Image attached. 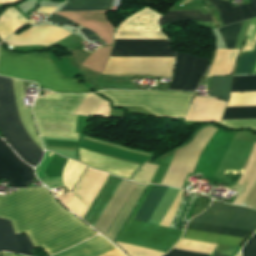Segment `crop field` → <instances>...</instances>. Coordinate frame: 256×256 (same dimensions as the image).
<instances>
[{"instance_id": "8a807250", "label": "crop field", "mask_w": 256, "mask_h": 256, "mask_svg": "<svg viewBox=\"0 0 256 256\" xmlns=\"http://www.w3.org/2000/svg\"><path fill=\"white\" fill-rule=\"evenodd\" d=\"M0 179L11 188L29 187L34 182L31 168L0 139ZM0 217L12 222L16 234L27 233L34 248L48 255L97 234L62 207L46 188L21 189L0 197Z\"/></svg>"}, {"instance_id": "ac0d7876", "label": "crop field", "mask_w": 256, "mask_h": 256, "mask_svg": "<svg viewBox=\"0 0 256 256\" xmlns=\"http://www.w3.org/2000/svg\"><path fill=\"white\" fill-rule=\"evenodd\" d=\"M167 188L168 186L153 185L138 213L136 212L137 214L135 219L148 222ZM183 192L184 191L182 190L179 192L176 200L174 201L171 209L162 223L163 226L169 227ZM135 219H129L116 242L166 253L179 240L182 234V231ZM122 244L119 245L129 254V256H160L155 252Z\"/></svg>"}, {"instance_id": "34b2d1b8", "label": "crop field", "mask_w": 256, "mask_h": 256, "mask_svg": "<svg viewBox=\"0 0 256 256\" xmlns=\"http://www.w3.org/2000/svg\"><path fill=\"white\" fill-rule=\"evenodd\" d=\"M13 90L20 119L30 137L43 150L30 109L24 108L22 98H25V95L21 80L13 79ZM13 90L12 79L0 77V132L17 154L35 167L40 162L43 151L29 137L19 119Z\"/></svg>"}, {"instance_id": "412701ff", "label": "crop field", "mask_w": 256, "mask_h": 256, "mask_svg": "<svg viewBox=\"0 0 256 256\" xmlns=\"http://www.w3.org/2000/svg\"><path fill=\"white\" fill-rule=\"evenodd\" d=\"M192 219L251 231L256 230V212L235 206H226L213 203L204 213ZM193 220L190 221L187 228L242 237H247L252 234L251 231L240 230ZM190 229H186L183 237L221 244H229L233 246L241 245V243L245 239L242 237L209 233Z\"/></svg>"}, {"instance_id": "f4fd0767", "label": "crop field", "mask_w": 256, "mask_h": 256, "mask_svg": "<svg viewBox=\"0 0 256 256\" xmlns=\"http://www.w3.org/2000/svg\"><path fill=\"white\" fill-rule=\"evenodd\" d=\"M0 74L37 82L58 93H89L79 79L64 78L48 54L17 56L0 49Z\"/></svg>"}, {"instance_id": "dd49c442", "label": "crop field", "mask_w": 256, "mask_h": 256, "mask_svg": "<svg viewBox=\"0 0 256 256\" xmlns=\"http://www.w3.org/2000/svg\"><path fill=\"white\" fill-rule=\"evenodd\" d=\"M115 105L142 106L156 116L185 118L194 94L163 91H100Z\"/></svg>"}, {"instance_id": "e52e79f7", "label": "crop field", "mask_w": 256, "mask_h": 256, "mask_svg": "<svg viewBox=\"0 0 256 256\" xmlns=\"http://www.w3.org/2000/svg\"><path fill=\"white\" fill-rule=\"evenodd\" d=\"M253 91H256V76L233 77L231 92ZM236 106H256V92L243 94L230 93V101L227 107ZM254 118H256V107H236L226 108L222 120ZM221 124L230 128L252 127L256 129V119L222 121Z\"/></svg>"}, {"instance_id": "d8731c3e", "label": "crop field", "mask_w": 256, "mask_h": 256, "mask_svg": "<svg viewBox=\"0 0 256 256\" xmlns=\"http://www.w3.org/2000/svg\"><path fill=\"white\" fill-rule=\"evenodd\" d=\"M176 61L170 89L194 91L202 74L205 72L208 59L177 53Z\"/></svg>"}, {"instance_id": "5a996713", "label": "crop field", "mask_w": 256, "mask_h": 256, "mask_svg": "<svg viewBox=\"0 0 256 256\" xmlns=\"http://www.w3.org/2000/svg\"><path fill=\"white\" fill-rule=\"evenodd\" d=\"M110 56H174L170 40H114Z\"/></svg>"}, {"instance_id": "3316defc", "label": "crop field", "mask_w": 256, "mask_h": 256, "mask_svg": "<svg viewBox=\"0 0 256 256\" xmlns=\"http://www.w3.org/2000/svg\"><path fill=\"white\" fill-rule=\"evenodd\" d=\"M42 137L78 139L77 116L34 113Z\"/></svg>"}, {"instance_id": "28ad6ade", "label": "crop field", "mask_w": 256, "mask_h": 256, "mask_svg": "<svg viewBox=\"0 0 256 256\" xmlns=\"http://www.w3.org/2000/svg\"><path fill=\"white\" fill-rule=\"evenodd\" d=\"M79 160L93 166L94 168L108 171L126 178H129L132 172L138 167L136 164L81 149H79Z\"/></svg>"}, {"instance_id": "d1516ede", "label": "crop field", "mask_w": 256, "mask_h": 256, "mask_svg": "<svg viewBox=\"0 0 256 256\" xmlns=\"http://www.w3.org/2000/svg\"><path fill=\"white\" fill-rule=\"evenodd\" d=\"M235 188L241 192L234 203L254 208L256 205V143L249 162Z\"/></svg>"}, {"instance_id": "22f410ed", "label": "crop field", "mask_w": 256, "mask_h": 256, "mask_svg": "<svg viewBox=\"0 0 256 256\" xmlns=\"http://www.w3.org/2000/svg\"><path fill=\"white\" fill-rule=\"evenodd\" d=\"M111 2L112 0H71L62 10L107 12L111 6ZM46 21L63 23L76 27L72 24L71 20L55 14L51 15ZM80 31L89 41L102 40L95 33L86 28L80 29Z\"/></svg>"}, {"instance_id": "cbeb9de0", "label": "crop field", "mask_w": 256, "mask_h": 256, "mask_svg": "<svg viewBox=\"0 0 256 256\" xmlns=\"http://www.w3.org/2000/svg\"><path fill=\"white\" fill-rule=\"evenodd\" d=\"M119 252L111 243L101 236H96L86 242H83L67 251L54 256H107ZM3 256H21L3 252ZM110 256H125L119 252Z\"/></svg>"}, {"instance_id": "5142ce71", "label": "crop field", "mask_w": 256, "mask_h": 256, "mask_svg": "<svg viewBox=\"0 0 256 256\" xmlns=\"http://www.w3.org/2000/svg\"><path fill=\"white\" fill-rule=\"evenodd\" d=\"M86 95H49L37 99L33 112L73 114Z\"/></svg>"}, {"instance_id": "d9b57169", "label": "crop field", "mask_w": 256, "mask_h": 256, "mask_svg": "<svg viewBox=\"0 0 256 256\" xmlns=\"http://www.w3.org/2000/svg\"><path fill=\"white\" fill-rule=\"evenodd\" d=\"M225 105L220 100L195 96L185 120L219 122Z\"/></svg>"}, {"instance_id": "733c2abd", "label": "crop field", "mask_w": 256, "mask_h": 256, "mask_svg": "<svg viewBox=\"0 0 256 256\" xmlns=\"http://www.w3.org/2000/svg\"><path fill=\"white\" fill-rule=\"evenodd\" d=\"M33 249L26 234L15 235L9 220L0 218V250L33 256Z\"/></svg>"}, {"instance_id": "4a817a6b", "label": "crop field", "mask_w": 256, "mask_h": 256, "mask_svg": "<svg viewBox=\"0 0 256 256\" xmlns=\"http://www.w3.org/2000/svg\"><path fill=\"white\" fill-rule=\"evenodd\" d=\"M122 179L109 175L102 189L98 193L91 207L89 208L84 220L94 227L95 223L99 219L106 205L110 201L117 187L121 183Z\"/></svg>"}, {"instance_id": "bc2a9ffb", "label": "crop field", "mask_w": 256, "mask_h": 256, "mask_svg": "<svg viewBox=\"0 0 256 256\" xmlns=\"http://www.w3.org/2000/svg\"><path fill=\"white\" fill-rule=\"evenodd\" d=\"M218 9L224 24L256 17V0H251L252 4L233 8L230 3L220 0H209Z\"/></svg>"}, {"instance_id": "214f88e0", "label": "crop field", "mask_w": 256, "mask_h": 256, "mask_svg": "<svg viewBox=\"0 0 256 256\" xmlns=\"http://www.w3.org/2000/svg\"><path fill=\"white\" fill-rule=\"evenodd\" d=\"M243 22L231 24L229 26L222 27V28L218 29L227 49L233 48ZM246 36H248V39H247V43L242 52L252 51V49L255 45V42H256V18H254L252 20L250 28H249ZM253 51H256V45H255Z\"/></svg>"}, {"instance_id": "92a150f3", "label": "crop field", "mask_w": 256, "mask_h": 256, "mask_svg": "<svg viewBox=\"0 0 256 256\" xmlns=\"http://www.w3.org/2000/svg\"><path fill=\"white\" fill-rule=\"evenodd\" d=\"M217 244L214 243H207L202 241H195V240H188V239H181V241L173 247L174 250L201 254L211 256L212 252L214 251ZM171 250L169 253L163 256H201L195 254H189L179 251ZM214 256H222L220 254L214 253Z\"/></svg>"}, {"instance_id": "dafd665d", "label": "crop field", "mask_w": 256, "mask_h": 256, "mask_svg": "<svg viewBox=\"0 0 256 256\" xmlns=\"http://www.w3.org/2000/svg\"><path fill=\"white\" fill-rule=\"evenodd\" d=\"M173 154H170V155L162 158L159 162V165L156 163H151L150 161L147 162L145 165H143L139 169V171L136 173L133 180L140 182V183H150V181L153 177V174L155 172V169L158 165L151 183H160L165 174V171L169 165V162H170Z\"/></svg>"}, {"instance_id": "00972430", "label": "crop field", "mask_w": 256, "mask_h": 256, "mask_svg": "<svg viewBox=\"0 0 256 256\" xmlns=\"http://www.w3.org/2000/svg\"><path fill=\"white\" fill-rule=\"evenodd\" d=\"M14 9V8H13ZM16 12L17 10L14 9ZM16 12L8 9L0 18V37L4 40L6 37L10 36L11 33L18 30L20 27L26 26L27 24H32L35 22L25 20L19 16Z\"/></svg>"}, {"instance_id": "a9b5d70f", "label": "crop field", "mask_w": 256, "mask_h": 256, "mask_svg": "<svg viewBox=\"0 0 256 256\" xmlns=\"http://www.w3.org/2000/svg\"><path fill=\"white\" fill-rule=\"evenodd\" d=\"M239 50H218L209 76L230 74Z\"/></svg>"}, {"instance_id": "4177f3b9", "label": "crop field", "mask_w": 256, "mask_h": 256, "mask_svg": "<svg viewBox=\"0 0 256 256\" xmlns=\"http://www.w3.org/2000/svg\"><path fill=\"white\" fill-rule=\"evenodd\" d=\"M182 19L212 21L210 14L203 15L199 11H172L165 12V14L160 17L158 24L162 25Z\"/></svg>"}, {"instance_id": "730fd06b", "label": "crop field", "mask_w": 256, "mask_h": 256, "mask_svg": "<svg viewBox=\"0 0 256 256\" xmlns=\"http://www.w3.org/2000/svg\"><path fill=\"white\" fill-rule=\"evenodd\" d=\"M85 165L78 163L73 160H67L64 171H63V179L65 186L72 191L74 186L76 185L78 179L85 169Z\"/></svg>"}, {"instance_id": "eef30255", "label": "crop field", "mask_w": 256, "mask_h": 256, "mask_svg": "<svg viewBox=\"0 0 256 256\" xmlns=\"http://www.w3.org/2000/svg\"><path fill=\"white\" fill-rule=\"evenodd\" d=\"M231 77L232 76L212 78L210 95L228 101Z\"/></svg>"}, {"instance_id": "ae1a2a85", "label": "crop field", "mask_w": 256, "mask_h": 256, "mask_svg": "<svg viewBox=\"0 0 256 256\" xmlns=\"http://www.w3.org/2000/svg\"><path fill=\"white\" fill-rule=\"evenodd\" d=\"M256 63V53L242 54L234 74L251 73ZM252 73H256V65Z\"/></svg>"}, {"instance_id": "d3111659", "label": "crop field", "mask_w": 256, "mask_h": 256, "mask_svg": "<svg viewBox=\"0 0 256 256\" xmlns=\"http://www.w3.org/2000/svg\"><path fill=\"white\" fill-rule=\"evenodd\" d=\"M67 208H69L74 214L81 217L84 210L86 209V205L83 204L78 198H76L74 195L70 199V201L66 204H64Z\"/></svg>"}, {"instance_id": "750c4746", "label": "crop field", "mask_w": 256, "mask_h": 256, "mask_svg": "<svg viewBox=\"0 0 256 256\" xmlns=\"http://www.w3.org/2000/svg\"><path fill=\"white\" fill-rule=\"evenodd\" d=\"M243 256H256V234L242 250Z\"/></svg>"}, {"instance_id": "bd1437ed", "label": "crop field", "mask_w": 256, "mask_h": 256, "mask_svg": "<svg viewBox=\"0 0 256 256\" xmlns=\"http://www.w3.org/2000/svg\"><path fill=\"white\" fill-rule=\"evenodd\" d=\"M72 195L73 194L71 192H69L64 195L57 196V198L64 204L69 201V199L72 197Z\"/></svg>"}, {"instance_id": "1d83c4d3", "label": "crop field", "mask_w": 256, "mask_h": 256, "mask_svg": "<svg viewBox=\"0 0 256 256\" xmlns=\"http://www.w3.org/2000/svg\"><path fill=\"white\" fill-rule=\"evenodd\" d=\"M55 9H57V8H40V9L38 10V12L50 14V13H52Z\"/></svg>"}, {"instance_id": "120bbe31", "label": "crop field", "mask_w": 256, "mask_h": 256, "mask_svg": "<svg viewBox=\"0 0 256 256\" xmlns=\"http://www.w3.org/2000/svg\"><path fill=\"white\" fill-rule=\"evenodd\" d=\"M15 1H18V0H0V4L1 3L15 2Z\"/></svg>"}, {"instance_id": "d32e631a", "label": "crop field", "mask_w": 256, "mask_h": 256, "mask_svg": "<svg viewBox=\"0 0 256 256\" xmlns=\"http://www.w3.org/2000/svg\"><path fill=\"white\" fill-rule=\"evenodd\" d=\"M238 256H241V254H239Z\"/></svg>"}]
</instances>
